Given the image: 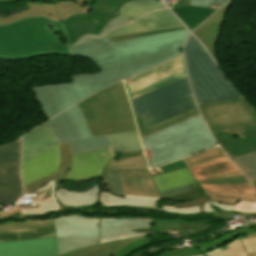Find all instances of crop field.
Instances as JSON below:
<instances>
[{"mask_svg":"<svg viewBox=\"0 0 256 256\" xmlns=\"http://www.w3.org/2000/svg\"><path fill=\"white\" fill-rule=\"evenodd\" d=\"M225 157L224 153L221 151L220 147L202 152L200 154L191 156L189 158L183 159V162L186 164L187 168H193L210 161Z\"/></svg>","mask_w":256,"mask_h":256,"instance_id":"34","label":"crop field"},{"mask_svg":"<svg viewBox=\"0 0 256 256\" xmlns=\"http://www.w3.org/2000/svg\"><path fill=\"white\" fill-rule=\"evenodd\" d=\"M198 113L199 112H198L197 108H195L193 110H190V111H187V112L182 113L180 115H177L175 117H172V118H170V119H168V120H166V121H164V122H162V123H160L158 125L149 127L147 129L144 128V126H143L139 116L136 117L135 119H136V123H137V127H138V131H139L140 137L142 138L144 136L150 135V134L155 133L157 131H160V130H162L164 128H167L169 126L177 124V123H179V122H181V121H183V120H185L187 118H190V117H192V116H194V115H196Z\"/></svg>","mask_w":256,"mask_h":256,"instance_id":"32","label":"crop field"},{"mask_svg":"<svg viewBox=\"0 0 256 256\" xmlns=\"http://www.w3.org/2000/svg\"><path fill=\"white\" fill-rule=\"evenodd\" d=\"M183 26L180 21L168 10L151 12L135 22L114 30L104 37L124 35L130 33L175 28ZM103 37V38H104Z\"/></svg>","mask_w":256,"mask_h":256,"instance_id":"16","label":"crop field"},{"mask_svg":"<svg viewBox=\"0 0 256 256\" xmlns=\"http://www.w3.org/2000/svg\"><path fill=\"white\" fill-rule=\"evenodd\" d=\"M125 195L159 197L149 170L121 171Z\"/></svg>","mask_w":256,"mask_h":256,"instance_id":"22","label":"crop field"},{"mask_svg":"<svg viewBox=\"0 0 256 256\" xmlns=\"http://www.w3.org/2000/svg\"><path fill=\"white\" fill-rule=\"evenodd\" d=\"M126 197H134V196H126ZM143 198H152V197H143ZM152 199H160V198H152Z\"/></svg>","mask_w":256,"mask_h":256,"instance_id":"55","label":"crop field"},{"mask_svg":"<svg viewBox=\"0 0 256 256\" xmlns=\"http://www.w3.org/2000/svg\"><path fill=\"white\" fill-rule=\"evenodd\" d=\"M204 184H219V183H248L243 176L240 177H233V178H226L220 179L215 181H205V182H198Z\"/></svg>","mask_w":256,"mask_h":256,"instance_id":"45","label":"crop field"},{"mask_svg":"<svg viewBox=\"0 0 256 256\" xmlns=\"http://www.w3.org/2000/svg\"><path fill=\"white\" fill-rule=\"evenodd\" d=\"M9 1H14V0H0V3L1 2H9ZM44 1L56 2L55 0H44Z\"/></svg>","mask_w":256,"mask_h":256,"instance_id":"54","label":"crop field"},{"mask_svg":"<svg viewBox=\"0 0 256 256\" xmlns=\"http://www.w3.org/2000/svg\"><path fill=\"white\" fill-rule=\"evenodd\" d=\"M232 161L244 173L250 182L256 180V151L241 155Z\"/></svg>","mask_w":256,"mask_h":256,"instance_id":"33","label":"crop field"},{"mask_svg":"<svg viewBox=\"0 0 256 256\" xmlns=\"http://www.w3.org/2000/svg\"><path fill=\"white\" fill-rule=\"evenodd\" d=\"M46 123L59 144L69 141L73 154L110 147L105 135L91 137L78 104Z\"/></svg>","mask_w":256,"mask_h":256,"instance_id":"7","label":"crop field"},{"mask_svg":"<svg viewBox=\"0 0 256 256\" xmlns=\"http://www.w3.org/2000/svg\"><path fill=\"white\" fill-rule=\"evenodd\" d=\"M20 139L0 147V195L22 193L19 177Z\"/></svg>","mask_w":256,"mask_h":256,"instance_id":"13","label":"crop field"},{"mask_svg":"<svg viewBox=\"0 0 256 256\" xmlns=\"http://www.w3.org/2000/svg\"><path fill=\"white\" fill-rule=\"evenodd\" d=\"M56 238L0 243V256H56Z\"/></svg>","mask_w":256,"mask_h":256,"instance_id":"18","label":"crop field"},{"mask_svg":"<svg viewBox=\"0 0 256 256\" xmlns=\"http://www.w3.org/2000/svg\"><path fill=\"white\" fill-rule=\"evenodd\" d=\"M248 256H256V253L247 254Z\"/></svg>","mask_w":256,"mask_h":256,"instance_id":"56","label":"crop field"},{"mask_svg":"<svg viewBox=\"0 0 256 256\" xmlns=\"http://www.w3.org/2000/svg\"><path fill=\"white\" fill-rule=\"evenodd\" d=\"M185 0L179 1V8L171 9L190 29L193 30L216 10L184 6Z\"/></svg>","mask_w":256,"mask_h":256,"instance_id":"26","label":"crop field"},{"mask_svg":"<svg viewBox=\"0 0 256 256\" xmlns=\"http://www.w3.org/2000/svg\"><path fill=\"white\" fill-rule=\"evenodd\" d=\"M255 188H256V186H255Z\"/></svg>","mask_w":256,"mask_h":256,"instance_id":"58","label":"crop field"},{"mask_svg":"<svg viewBox=\"0 0 256 256\" xmlns=\"http://www.w3.org/2000/svg\"><path fill=\"white\" fill-rule=\"evenodd\" d=\"M53 222L59 255L99 244V218L73 214L53 218Z\"/></svg>","mask_w":256,"mask_h":256,"instance_id":"8","label":"crop field"},{"mask_svg":"<svg viewBox=\"0 0 256 256\" xmlns=\"http://www.w3.org/2000/svg\"><path fill=\"white\" fill-rule=\"evenodd\" d=\"M233 1V0H232ZM232 1L223 6L201 26H199L193 33L207 48L211 55L215 58L214 46L218 39L221 25L224 20L227 9L231 6ZM216 60V58H215Z\"/></svg>","mask_w":256,"mask_h":256,"instance_id":"23","label":"crop field"},{"mask_svg":"<svg viewBox=\"0 0 256 256\" xmlns=\"http://www.w3.org/2000/svg\"><path fill=\"white\" fill-rule=\"evenodd\" d=\"M61 151V163L59 171L37 180L24 187L25 194L34 192L37 206L11 209L0 213V220L8 218H30L48 216L54 213L69 212L67 207H81L93 204L102 206H135L149 207L154 210L178 214L206 213L212 218L233 219L234 206L208 201L202 205L176 209V206L162 205L155 208L156 200L142 198H122L110 194L108 191L99 193V182L85 192H72L62 187L61 179L85 180L101 175L102 169L112 159L109 148L90 151L83 154L72 155L69 143L59 145ZM30 198V199H31ZM87 213H109L112 215L126 214L127 212H105L91 210H79ZM209 218L203 217L202 219ZM197 219V218H196ZM192 219V220H196Z\"/></svg>","mask_w":256,"mask_h":256,"instance_id":"2","label":"crop field"},{"mask_svg":"<svg viewBox=\"0 0 256 256\" xmlns=\"http://www.w3.org/2000/svg\"><path fill=\"white\" fill-rule=\"evenodd\" d=\"M191 93L188 77L186 76L130 101L136 117Z\"/></svg>","mask_w":256,"mask_h":256,"instance_id":"12","label":"crop field"},{"mask_svg":"<svg viewBox=\"0 0 256 256\" xmlns=\"http://www.w3.org/2000/svg\"><path fill=\"white\" fill-rule=\"evenodd\" d=\"M234 211H242V212H256V203H246L240 201L237 205H235Z\"/></svg>","mask_w":256,"mask_h":256,"instance_id":"46","label":"crop field"},{"mask_svg":"<svg viewBox=\"0 0 256 256\" xmlns=\"http://www.w3.org/2000/svg\"><path fill=\"white\" fill-rule=\"evenodd\" d=\"M244 244H256V238L242 239Z\"/></svg>","mask_w":256,"mask_h":256,"instance_id":"52","label":"crop field"},{"mask_svg":"<svg viewBox=\"0 0 256 256\" xmlns=\"http://www.w3.org/2000/svg\"><path fill=\"white\" fill-rule=\"evenodd\" d=\"M252 185L255 186V185H256V181H255V182H252Z\"/></svg>","mask_w":256,"mask_h":256,"instance_id":"57","label":"crop field"},{"mask_svg":"<svg viewBox=\"0 0 256 256\" xmlns=\"http://www.w3.org/2000/svg\"><path fill=\"white\" fill-rule=\"evenodd\" d=\"M102 177L108 191L114 195L125 197L120 179V170L103 171Z\"/></svg>","mask_w":256,"mask_h":256,"instance_id":"36","label":"crop field"},{"mask_svg":"<svg viewBox=\"0 0 256 256\" xmlns=\"http://www.w3.org/2000/svg\"><path fill=\"white\" fill-rule=\"evenodd\" d=\"M202 189H209L218 192L241 193L256 195L255 189L250 184H220V185H204L199 184Z\"/></svg>","mask_w":256,"mask_h":256,"instance_id":"35","label":"crop field"},{"mask_svg":"<svg viewBox=\"0 0 256 256\" xmlns=\"http://www.w3.org/2000/svg\"><path fill=\"white\" fill-rule=\"evenodd\" d=\"M131 21L115 17L98 35L86 34L71 46L61 22L40 16L22 18L0 25V59L22 60L45 54L83 56L102 71L70 75L72 83L32 87L49 119L111 84L182 53L187 29L115 43L110 38L91 39Z\"/></svg>","mask_w":256,"mask_h":256,"instance_id":"1","label":"crop field"},{"mask_svg":"<svg viewBox=\"0 0 256 256\" xmlns=\"http://www.w3.org/2000/svg\"><path fill=\"white\" fill-rule=\"evenodd\" d=\"M237 170V168L232 164V162L227 158H222L211 163L190 169V172L195 179L206 177L214 174L230 172Z\"/></svg>","mask_w":256,"mask_h":256,"instance_id":"31","label":"crop field"},{"mask_svg":"<svg viewBox=\"0 0 256 256\" xmlns=\"http://www.w3.org/2000/svg\"><path fill=\"white\" fill-rule=\"evenodd\" d=\"M186 191H189V188L187 185L179 188L171 189V190L161 191L159 193L161 197H166V196H170V195H174V194H178Z\"/></svg>","mask_w":256,"mask_h":256,"instance_id":"48","label":"crop field"},{"mask_svg":"<svg viewBox=\"0 0 256 256\" xmlns=\"http://www.w3.org/2000/svg\"><path fill=\"white\" fill-rule=\"evenodd\" d=\"M226 245L229 249L211 256H246L239 238Z\"/></svg>","mask_w":256,"mask_h":256,"instance_id":"38","label":"crop field"},{"mask_svg":"<svg viewBox=\"0 0 256 256\" xmlns=\"http://www.w3.org/2000/svg\"><path fill=\"white\" fill-rule=\"evenodd\" d=\"M211 133L230 159L256 149V138L242 139L212 131Z\"/></svg>","mask_w":256,"mask_h":256,"instance_id":"25","label":"crop field"},{"mask_svg":"<svg viewBox=\"0 0 256 256\" xmlns=\"http://www.w3.org/2000/svg\"><path fill=\"white\" fill-rule=\"evenodd\" d=\"M154 222L152 218H100V244L152 234Z\"/></svg>","mask_w":256,"mask_h":256,"instance_id":"11","label":"crop field"},{"mask_svg":"<svg viewBox=\"0 0 256 256\" xmlns=\"http://www.w3.org/2000/svg\"><path fill=\"white\" fill-rule=\"evenodd\" d=\"M204 222H207V221H199V222H195V223L181 221V226H180L179 231L192 230L195 232H201V231L211 228V226L209 224H205Z\"/></svg>","mask_w":256,"mask_h":256,"instance_id":"41","label":"crop field"},{"mask_svg":"<svg viewBox=\"0 0 256 256\" xmlns=\"http://www.w3.org/2000/svg\"><path fill=\"white\" fill-rule=\"evenodd\" d=\"M112 152L141 150L137 131L106 135Z\"/></svg>","mask_w":256,"mask_h":256,"instance_id":"30","label":"crop field"},{"mask_svg":"<svg viewBox=\"0 0 256 256\" xmlns=\"http://www.w3.org/2000/svg\"><path fill=\"white\" fill-rule=\"evenodd\" d=\"M191 191L179 194V195H174L166 198H161V199H169V200H187V199H197L200 196H202V192L197 189L195 184L189 185Z\"/></svg>","mask_w":256,"mask_h":256,"instance_id":"40","label":"crop field"},{"mask_svg":"<svg viewBox=\"0 0 256 256\" xmlns=\"http://www.w3.org/2000/svg\"><path fill=\"white\" fill-rule=\"evenodd\" d=\"M184 167H186V166L184 165L182 160H180V161H177L175 163H170V164H166V165H163V166H160V167H156V170H157L158 174H155V175L167 173V172L174 171V170H177V169H181V168H184ZM155 175H153V176H155Z\"/></svg>","mask_w":256,"mask_h":256,"instance_id":"43","label":"crop field"},{"mask_svg":"<svg viewBox=\"0 0 256 256\" xmlns=\"http://www.w3.org/2000/svg\"><path fill=\"white\" fill-rule=\"evenodd\" d=\"M150 243L147 236L111 242L93 247L72 251L60 256H125L130 251Z\"/></svg>","mask_w":256,"mask_h":256,"instance_id":"19","label":"crop field"},{"mask_svg":"<svg viewBox=\"0 0 256 256\" xmlns=\"http://www.w3.org/2000/svg\"><path fill=\"white\" fill-rule=\"evenodd\" d=\"M161 8H165V6L157 0H133L123 4L119 9V14L137 19L149 11Z\"/></svg>","mask_w":256,"mask_h":256,"instance_id":"29","label":"crop field"},{"mask_svg":"<svg viewBox=\"0 0 256 256\" xmlns=\"http://www.w3.org/2000/svg\"><path fill=\"white\" fill-rule=\"evenodd\" d=\"M46 123L25 134L22 139V162L57 145Z\"/></svg>","mask_w":256,"mask_h":256,"instance_id":"21","label":"crop field"},{"mask_svg":"<svg viewBox=\"0 0 256 256\" xmlns=\"http://www.w3.org/2000/svg\"><path fill=\"white\" fill-rule=\"evenodd\" d=\"M93 137L137 130L123 82L79 103Z\"/></svg>","mask_w":256,"mask_h":256,"instance_id":"4","label":"crop field"},{"mask_svg":"<svg viewBox=\"0 0 256 256\" xmlns=\"http://www.w3.org/2000/svg\"><path fill=\"white\" fill-rule=\"evenodd\" d=\"M248 253L256 252V245H244Z\"/></svg>","mask_w":256,"mask_h":256,"instance_id":"51","label":"crop field"},{"mask_svg":"<svg viewBox=\"0 0 256 256\" xmlns=\"http://www.w3.org/2000/svg\"><path fill=\"white\" fill-rule=\"evenodd\" d=\"M197 105L209 130L244 138L242 126H256V113L242 97Z\"/></svg>","mask_w":256,"mask_h":256,"instance_id":"6","label":"crop field"},{"mask_svg":"<svg viewBox=\"0 0 256 256\" xmlns=\"http://www.w3.org/2000/svg\"><path fill=\"white\" fill-rule=\"evenodd\" d=\"M245 136L256 137V127H243Z\"/></svg>","mask_w":256,"mask_h":256,"instance_id":"50","label":"crop field"},{"mask_svg":"<svg viewBox=\"0 0 256 256\" xmlns=\"http://www.w3.org/2000/svg\"><path fill=\"white\" fill-rule=\"evenodd\" d=\"M21 194H12V195H4L0 196V205L16 202ZM1 208V206H0Z\"/></svg>","mask_w":256,"mask_h":256,"instance_id":"49","label":"crop field"},{"mask_svg":"<svg viewBox=\"0 0 256 256\" xmlns=\"http://www.w3.org/2000/svg\"><path fill=\"white\" fill-rule=\"evenodd\" d=\"M147 163L144 156L132 157L128 159L112 160L108 164L107 170L110 169H146Z\"/></svg>","mask_w":256,"mask_h":256,"instance_id":"37","label":"crop field"},{"mask_svg":"<svg viewBox=\"0 0 256 256\" xmlns=\"http://www.w3.org/2000/svg\"><path fill=\"white\" fill-rule=\"evenodd\" d=\"M76 2H60L55 5L44 3H26L28 10L17 13L5 19H0V24L17 20L26 16H46L54 20H63L65 17L76 13L88 12L87 0H75Z\"/></svg>","mask_w":256,"mask_h":256,"instance_id":"14","label":"crop field"},{"mask_svg":"<svg viewBox=\"0 0 256 256\" xmlns=\"http://www.w3.org/2000/svg\"><path fill=\"white\" fill-rule=\"evenodd\" d=\"M254 232L245 227H241L231 233L221 236L220 238L208 243L197 244L192 248H186L177 251L165 252L159 256H209L213 253L227 249L226 243L238 238L239 236Z\"/></svg>","mask_w":256,"mask_h":256,"instance_id":"20","label":"crop field"},{"mask_svg":"<svg viewBox=\"0 0 256 256\" xmlns=\"http://www.w3.org/2000/svg\"><path fill=\"white\" fill-rule=\"evenodd\" d=\"M192 37L184 48L187 69L197 103L233 99L240 95L223 77L207 52Z\"/></svg>","mask_w":256,"mask_h":256,"instance_id":"5","label":"crop field"},{"mask_svg":"<svg viewBox=\"0 0 256 256\" xmlns=\"http://www.w3.org/2000/svg\"><path fill=\"white\" fill-rule=\"evenodd\" d=\"M180 238L186 237L188 235L191 234H196V233H192V232H177Z\"/></svg>","mask_w":256,"mask_h":256,"instance_id":"53","label":"crop field"},{"mask_svg":"<svg viewBox=\"0 0 256 256\" xmlns=\"http://www.w3.org/2000/svg\"><path fill=\"white\" fill-rule=\"evenodd\" d=\"M240 175H241V173L239 172V170H237V171L230 172V173L219 174V175H214V176H210V177H206V178L197 179L196 181L215 180V179L240 176Z\"/></svg>","mask_w":256,"mask_h":256,"instance_id":"47","label":"crop field"},{"mask_svg":"<svg viewBox=\"0 0 256 256\" xmlns=\"http://www.w3.org/2000/svg\"><path fill=\"white\" fill-rule=\"evenodd\" d=\"M204 192H205V195L200 197L198 200H194L187 203H177V208L202 204L208 201L209 199H212L216 202L232 204V205H234L236 199L247 201V202H256V196H252V195L218 193V192L208 191V190H204Z\"/></svg>","mask_w":256,"mask_h":256,"instance_id":"28","label":"crop field"},{"mask_svg":"<svg viewBox=\"0 0 256 256\" xmlns=\"http://www.w3.org/2000/svg\"><path fill=\"white\" fill-rule=\"evenodd\" d=\"M184 28L185 27L175 28V29H167V30H159V31H151V32H144V33H137V34H131V35H125V36H116V37H111V39H112V42H114V41L138 38V37H142V36H147V35H152V34L172 31V30H178V29H184Z\"/></svg>","mask_w":256,"mask_h":256,"instance_id":"42","label":"crop field"},{"mask_svg":"<svg viewBox=\"0 0 256 256\" xmlns=\"http://www.w3.org/2000/svg\"><path fill=\"white\" fill-rule=\"evenodd\" d=\"M55 236L50 220L9 222L0 225V242Z\"/></svg>","mask_w":256,"mask_h":256,"instance_id":"15","label":"crop field"},{"mask_svg":"<svg viewBox=\"0 0 256 256\" xmlns=\"http://www.w3.org/2000/svg\"><path fill=\"white\" fill-rule=\"evenodd\" d=\"M180 222L171 220H156L153 233L178 231Z\"/></svg>","mask_w":256,"mask_h":256,"instance_id":"39","label":"crop field"},{"mask_svg":"<svg viewBox=\"0 0 256 256\" xmlns=\"http://www.w3.org/2000/svg\"><path fill=\"white\" fill-rule=\"evenodd\" d=\"M128 1L130 0H88L90 11L87 14H76L61 21L71 44L85 33L98 34L111 18L119 15L118 8Z\"/></svg>","mask_w":256,"mask_h":256,"instance_id":"9","label":"crop field"},{"mask_svg":"<svg viewBox=\"0 0 256 256\" xmlns=\"http://www.w3.org/2000/svg\"><path fill=\"white\" fill-rule=\"evenodd\" d=\"M182 55L153 69L124 80L129 98L138 97L186 76Z\"/></svg>","mask_w":256,"mask_h":256,"instance_id":"10","label":"crop field"},{"mask_svg":"<svg viewBox=\"0 0 256 256\" xmlns=\"http://www.w3.org/2000/svg\"><path fill=\"white\" fill-rule=\"evenodd\" d=\"M228 0H190V2H185V5L199 6L208 8L210 3L223 5Z\"/></svg>","mask_w":256,"mask_h":256,"instance_id":"44","label":"crop field"},{"mask_svg":"<svg viewBox=\"0 0 256 256\" xmlns=\"http://www.w3.org/2000/svg\"><path fill=\"white\" fill-rule=\"evenodd\" d=\"M150 168L216 146L200 114L141 139Z\"/></svg>","mask_w":256,"mask_h":256,"instance_id":"3","label":"crop field"},{"mask_svg":"<svg viewBox=\"0 0 256 256\" xmlns=\"http://www.w3.org/2000/svg\"><path fill=\"white\" fill-rule=\"evenodd\" d=\"M195 107L196 105L193 99V95L191 94L187 97L167 104L140 117L145 127H149L167 118H170L187 110L193 109Z\"/></svg>","mask_w":256,"mask_h":256,"instance_id":"24","label":"crop field"},{"mask_svg":"<svg viewBox=\"0 0 256 256\" xmlns=\"http://www.w3.org/2000/svg\"><path fill=\"white\" fill-rule=\"evenodd\" d=\"M159 191L196 183L187 168L153 177Z\"/></svg>","mask_w":256,"mask_h":256,"instance_id":"27","label":"crop field"},{"mask_svg":"<svg viewBox=\"0 0 256 256\" xmlns=\"http://www.w3.org/2000/svg\"><path fill=\"white\" fill-rule=\"evenodd\" d=\"M59 163L58 145L23 162L21 165L23 185L55 172L59 169Z\"/></svg>","mask_w":256,"mask_h":256,"instance_id":"17","label":"crop field"}]
</instances>
